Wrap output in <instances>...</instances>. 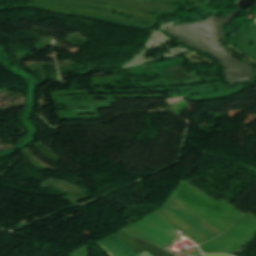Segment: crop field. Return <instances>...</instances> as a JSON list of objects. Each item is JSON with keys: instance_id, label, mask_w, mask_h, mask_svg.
I'll use <instances>...</instances> for the list:
<instances>
[{"instance_id": "8a807250", "label": "crop field", "mask_w": 256, "mask_h": 256, "mask_svg": "<svg viewBox=\"0 0 256 256\" xmlns=\"http://www.w3.org/2000/svg\"><path fill=\"white\" fill-rule=\"evenodd\" d=\"M172 196L223 233L244 215L224 199L216 201L184 180ZM172 196L155 213L194 243L199 245L223 234Z\"/></svg>"}, {"instance_id": "ac0d7876", "label": "crop field", "mask_w": 256, "mask_h": 256, "mask_svg": "<svg viewBox=\"0 0 256 256\" xmlns=\"http://www.w3.org/2000/svg\"><path fill=\"white\" fill-rule=\"evenodd\" d=\"M256 235V216L250 211L224 236L200 246L204 253L232 254Z\"/></svg>"}, {"instance_id": "34b2d1b8", "label": "crop field", "mask_w": 256, "mask_h": 256, "mask_svg": "<svg viewBox=\"0 0 256 256\" xmlns=\"http://www.w3.org/2000/svg\"><path fill=\"white\" fill-rule=\"evenodd\" d=\"M98 242L111 256H136L116 237L115 234L98 240Z\"/></svg>"}]
</instances>
